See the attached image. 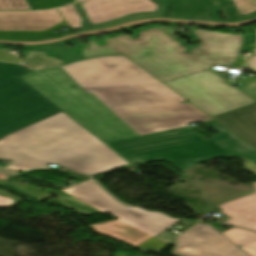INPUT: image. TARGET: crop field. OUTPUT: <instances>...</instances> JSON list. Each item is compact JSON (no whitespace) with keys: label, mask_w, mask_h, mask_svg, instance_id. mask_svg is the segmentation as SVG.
Returning <instances> with one entry per match:
<instances>
[{"label":"crop field","mask_w":256,"mask_h":256,"mask_svg":"<svg viewBox=\"0 0 256 256\" xmlns=\"http://www.w3.org/2000/svg\"><path fill=\"white\" fill-rule=\"evenodd\" d=\"M62 68L139 135L203 121L219 134L207 140L256 175V149L160 83L123 55L78 61ZM85 86H81V85Z\"/></svg>","instance_id":"crop-field-1"},{"label":"crop field","mask_w":256,"mask_h":256,"mask_svg":"<svg viewBox=\"0 0 256 256\" xmlns=\"http://www.w3.org/2000/svg\"><path fill=\"white\" fill-rule=\"evenodd\" d=\"M138 31L140 38L136 40L123 35L106 41L207 115L213 117L256 102V78L241 80L235 89L210 72L214 62L232 63L233 59L184 53L187 49L169 26Z\"/></svg>","instance_id":"crop-field-2"},{"label":"crop field","mask_w":256,"mask_h":256,"mask_svg":"<svg viewBox=\"0 0 256 256\" xmlns=\"http://www.w3.org/2000/svg\"><path fill=\"white\" fill-rule=\"evenodd\" d=\"M0 158L14 160L0 166V172L14 176L18 170L50 169L49 162L89 176L129 165L63 112L2 138Z\"/></svg>","instance_id":"crop-field-3"},{"label":"crop field","mask_w":256,"mask_h":256,"mask_svg":"<svg viewBox=\"0 0 256 256\" xmlns=\"http://www.w3.org/2000/svg\"><path fill=\"white\" fill-rule=\"evenodd\" d=\"M58 198L78 214H96L106 211L118 220L91 225L101 234L110 235L139 248L162 251L169 244L155 238L156 235L181 221L159 212H147L141 208L121 205L94 182H86L64 191H53Z\"/></svg>","instance_id":"crop-field-4"},{"label":"crop field","mask_w":256,"mask_h":256,"mask_svg":"<svg viewBox=\"0 0 256 256\" xmlns=\"http://www.w3.org/2000/svg\"><path fill=\"white\" fill-rule=\"evenodd\" d=\"M20 78L103 142L137 135L58 67L32 71Z\"/></svg>","instance_id":"crop-field-5"},{"label":"crop field","mask_w":256,"mask_h":256,"mask_svg":"<svg viewBox=\"0 0 256 256\" xmlns=\"http://www.w3.org/2000/svg\"><path fill=\"white\" fill-rule=\"evenodd\" d=\"M127 159L167 160L185 170L199 162L228 157L190 128L108 143Z\"/></svg>","instance_id":"crop-field-6"},{"label":"crop field","mask_w":256,"mask_h":256,"mask_svg":"<svg viewBox=\"0 0 256 256\" xmlns=\"http://www.w3.org/2000/svg\"><path fill=\"white\" fill-rule=\"evenodd\" d=\"M28 71L0 62V139L61 112L18 76Z\"/></svg>","instance_id":"crop-field-7"},{"label":"crop field","mask_w":256,"mask_h":256,"mask_svg":"<svg viewBox=\"0 0 256 256\" xmlns=\"http://www.w3.org/2000/svg\"><path fill=\"white\" fill-rule=\"evenodd\" d=\"M64 24L58 9L0 11V39L37 40L56 37L52 29Z\"/></svg>","instance_id":"crop-field-8"},{"label":"crop field","mask_w":256,"mask_h":256,"mask_svg":"<svg viewBox=\"0 0 256 256\" xmlns=\"http://www.w3.org/2000/svg\"><path fill=\"white\" fill-rule=\"evenodd\" d=\"M82 6L94 29L133 19L161 17L157 5L148 0H93Z\"/></svg>","instance_id":"crop-field-9"},{"label":"crop field","mask_w":256,"mask_h":256,"mask_svg":"<svg viewBox=\"0 0 256 256\" xmlns=\"http://www.w3.org/2000/svg\"><path fill=\"white\" fill-rule=\"evenodd\" d=\"M175 253L185 256H249L206 224H198L179 236Z\"/></svg>","instance_id":"crop-field-10"},{"label":"crop field","mask_w":256,"mask_h":256,"mask_svg":"<svg viewBox=\"0 0 256 256\" xmlns=\"http://www.w3.org/2000/svg\"><path fill=\"white\" fill-rule=\"evenodd\" d=\"M171 14L189 18L194 15H207L208 7H220L226 21L242 20L232 0H170Z\"/></svg>","instance_id":"crop-field-11"},{"label":"crop field","mask_w":256,"mask_h":256,"mask_svg":"<svg viewBox=\"0 0 256 256\" xmlns=\"http://www.w3.org/2000/svg\"><path fill=\"white\" fill-rule=\"evenodd\" d=\"M213 118L256 148V103Z\"/></svg>","instance_id":"crop-field-12"},{"label":"crop field","mask_w":256,"mask_h":256,"mask_svg":"<svg viewBox=\"0 0 256 256\" xmlns=\"http://www.w3.org/2000/svg\"><path fill=\"white\" fill-rule=\"evenodd\" d=\"M196 37L203 44L199 53L235 58L242 36L237 34L196 30Z\"/></svg>","instance_id":"crop-field-13"},{"label":"crop field","mask_w":256,"mask_h":256,"mask_svg":"<svg viewBox=\"0 0 256 256\" xmlns=\"http://www.w3.org/2000/svg\"><path fill=\"white\" fill-rule=\"evenodd\" d=\"M256 189V182L254 183ZM232 217L226 223L256 230V193L217 206Z\"/></svg>","instance_id":"crop-field-14"},{"label":"crop field","mask_w":256,"mask_h":256,"mask_svg":"<svg viewBox=\"0 0 256 256\" xmlns=\"http://www.w3.org/2000/svg\"><path fill=\"white\" fill-rule=\"evenodd\" d=\"M8 178H9L8 176H4V175L0 174V185L11 186L14 189H16L18 192L28 195V196L38 200L39 202L52 195L46 191L39 190L31 185L24 184L17 180H13L11 183H8L7 182Z\"/></svg>","instance_id":"crop-field-15"},{"label":"crop field","mask_w":256,"mask_h":256,"mask_svg":"<svg viewBox=\"0 0 256 256\" xmlns=\"http://www.w3.org/2000/svg\"><path fill=\"white\" fill-rule=\"evenodd\" d=\"M24 63L34 69L64 64L60 59H53L41 52H32L23 60Z\"/></svg>","instance_id":"crop-field-16"},{"label":"crop field","mask_w":256,"mask_h":256,"mask_svg":"<svg viewBox=\"0 0 256 256\" xmlns=\"http://www.w3.org/2000/svg\"><path fill=\"white\" fill-rule=\"evenodd\" d=\"M79 46L83 49V58H89L98 55H105V54H115L120 53L110 44L103 46L99 42L93 39H89L87 46H84L77 42Z\"/></svg>","instance_id":"crop-field-17"},{"label":"crop field","mask_w":256,"mask_h":256,"mask_svg":"<svg viewBox=\"0 0 256 256\" xmlns=\"http://www.w3.org/2000/svg\"><path fill=\"white\" fill-rule=\"evenodd\" d=\"M47 48L50 52L59 57L65 63L82 59L80 55L77 53V51L65 45L63 42L55 45H48Z\"/></svg>","instance_id":"crop-field-18"},{"label":"crop field","mask_w":256,"mask_h":256,"mask_svg":"<svg viewBox=\"0 0 256 256\" xmlns=\"http://www.w3.org/2000/svg\"><path fill=\"white\" fill-rule=\"evenodd\" d=\"M222 234L224 236H226L227 238H229L231 241H233L238 246L244 245L248 242L256 240V233L238 229V228H234V229L224 232Z\"/></svg>","instance_id":"crop-field-19"},{"label":"crop field","mask_w":256,"mask_h":256,"mask_svg":"<svg viewBox=\"0 0 256 256\" xmlns=\"http://www.w3.org/2000/svg\"><path fill=\"white\" fill-rule=\"evenodd\" d=\"M60 11L66 18L68 24L71 25V27H73L74 29L81 27L82 18L79 15L75 5L60 8Z\"/></svg>","instance_id":"crop-field-20"},{"label":"crop field","mask_w":256,"mask_h":256,"mask_svg":"<svg viewBox=\"0 0 256 256\" xmlns=\"http://www.w3.org/2000/svg\"><path fill=\"white\" fill-rule=\"evenodd\" d=\"M74 0H27L31 9H44L49 7H59L66 2H72Z\"/></svg>","instance_id":"crop-field-21"},{"label":"crop field","mask_w":256,"mask_h":256,"mask_svg":"<svg viewBox=\"0 0 256 256\" xmlns=\"http://www.w3.org/2000/svg\"><path fill=\"white\" fill-rule=\"evenodd\" d=\"M30 9L25 0H0V10Z\"/></svg>","instance_id":"crop-field-22"},{"label":"crop field","mask_w":256,"mask_h":256,"mask_svg":"<svg viewBox=\"0 0 256 256\" xmlns=\"http://www.w3.org/2000/svg\"><path fill=\"white\" fill-rule=\"evenodd\" d=\"M241 15L251 13L256 10V0H233Z\"/></svg>","instance_id":"crop-field-23"},{"label":"crop field","mask_w":256,"mask_h":256,"mask_svg":"<svg viewBox=\"0 0 256 256\" xmlns=\"http://www.w3.org/2000/svg\"><path fill=\"white\" fill-rule=\"evenodd\" d=\"M22 200L4 191H0V207H14Z\"/></svg>","instance_id":"crop-field-24"},{"label":"crop field","mask_w":256,"mask_h":256,"mask_svg":"<svg viewBox=\"0 0 256 256\" xmlns=\"http://www.w3.org/2000/svg\"><path fill=\"white\" fill-rule=\"evenodd\" d=\"M0 60L21 63L18 56L16 54L12 53L10 50L0 49Z\"/></svg>","instance_id":"crop-field-25"},{"label":"crop field","mask_w":256,"mask_h":256,"mask_svg":"<svg viewBox=\"0 0 256 256\" xmlns=\"http://www.w3.org/2000/svg\"><path fill=\"white\" fill-rule=\"evenodd\" d=\"M240 248L244 250L246 253H248L249 255L256 256V241H253L249 244L241 246Z\"/></svg>","instance_id":"crop-field-26"},{"label":"crop field","mask_w":256,"mask_h":256,"mask_svg":"<svg viewBox=\"0 0 256 256\" xmlns=\"http://www.w3.org/2000/svg\"><path fill=\"white\" fill-rule=\"evenodd\" d=\"M255 33H256V28H255ZM252 52L255 56L248 59L245 67L251 68L256 72V49H254Z\"/></svg>","instance_id":"crop-field-27"},{"label":"crop field","mask_w":256,"mask_h":256,"mask_svg":"<svg viewBox=\"0 0 256 256\" xmlns=\"http://www.w3.org/2000/svg\"><path fill=\"white\" fill-rule=\"evenodd\" d=\"M77 1H85V0H77Z\"/></svg>","instance_id":"crop-field-28"}]
</instances>
